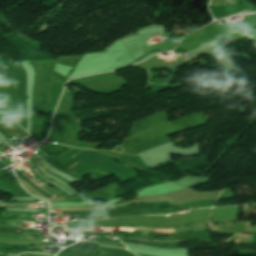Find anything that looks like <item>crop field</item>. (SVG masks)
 Instances as JSON below:
<instances>
[{
	"label": "crop field",
	"mask_w": 256,
	"mask_h": 256,
	"mask_svg": "<svg viewBox=\"0 0 256 256\" xmlns=\"http://www.w3.org/2000/svg\"><path fill=\"white\" fill-rule=\"evenodd\" d=\"M159 233H167V234H173L176 233L174 229L172 230H159Z\"/></svg>",
	"instance_id": "1"
}]
</instances>
